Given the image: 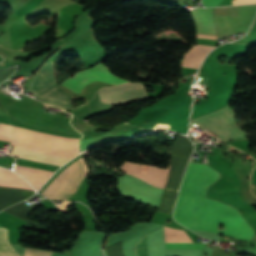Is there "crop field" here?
<instances>
[{"instance_id": "8a807250", "label": "crop field", "mask_w": 256, "mask_h": 256, "mask_svg": "<svg viewBox=\"0 0 256 256\" xmlns=\"http://www.w3.org/2000/svg\"><path fill=\"white\" fill-rule=\"evenodd\" d=\"M218 177L219 174L212 168L190 163L184 176L174 219L191 230L206 231L215 200L204 196L207 187ZM220 224L225 226L224 235L244 240L253 236L252 229L236 209L215 201L207 231L219 234Z\"/></svg>"}, {"instance_id": "ac0d7876", "label": "crop field", "mask_w": 256, "mask_h": 256, "mask_svg": "<svg viewBox=\"0 0 256 256\" xmlns=\"http://www.w3.org/2000/svg\"><path fill=\"white\" fill-rule=\"evenodd\" d=\"M12 139L78 151V139H67L17 127H13ZM11 144L14 145V147L10 154L14 157L46 162L58 166H61L78 155L76 153L53 150L14 141H12Z\"/></svg>"}, {"instance_id": "34b2d1b8", "label": "crop field", "mask_w": 256, "mask_h": 256, "mask_svg": "<svg viewBox=\"0 0 256 256\" xmlns=\"http://www.w3.org/2000/svg\"><path fill=\"white\" fill-rule=\"evenodd\" d=\"M27 90L50 105L62 109L72 107L70 104L72 95L57 86L52 72V64L49 60L35 73Z\"/></svg>"}, {"instance_id": "412701ff", "label": "crop field", "mask_w": 256, "mask_h": 256, "mask_svg": "<svg viewBox=\"0 0 256 256\" xmlns=\"http://www.w3.org/2000/svg\"><path fill=\"white\" fill-rule=\"evenodd\" d=\"M235 116L234 111L227 106L210 114L193 119L192 126L201 127L202 130L218 136L222 141L249 136L250 134L236 126Z\"/></svg>"}, {"instance_id": "f4fd0767", "label": "crop field", "mask_w": 256, "mask_h": 256, "mask_svg": "<svg viewBox=\"0 0 256 256\" xmlns=\"http://www.w3.org/2000/svg\"><path fill=\"white\" fill-rule=\"evenodd\" d=\"M117 180L119 183V193L143 203L158 207L163 190L155 188L127 174L122 177H118Z\"/></svg>"}, {"instance_id": "dd49c442", "label": "crop field", "mask_w": 256, "mask_h": 256, "mask_svg": "<svg viewBox=\"0 0 256 256\" xmlns=\"http://www.w3.org/2000/svg\"><path fill=\"white\" fill-rule=\"evenodd\" d=\"M97 94L101 103L111 105H120L142 98H149L142 83H128L110 88H102Z\"/></svg>"}, {"instance_id": "e52e79f7", "label": "crop field", "mask_w": 256, "mask_h": 256, "mask_svg": "<svg viewBox=\"0 0 256 256\" xmlns=\"http://www.w3.org/2000/svg\"><path fill=\"white\" fill-rule=\"evenodd\" d=\"M92 81H104L115 85L127 82L110 74L107 68L100 63L90 69L73 75L62 84L73 91L80 93L81 89Z\"/></svg>"}, {"instance_id": "d8731c3e", "label": "crop field", "mask_w": 256, "mask_h": 256, "mask_svg": "<svg viewBox=\"0 0 256 256\" xmlns=\"http://www.w3.org/2000/svg\"><path fill=\"white\" fill-rule=\"evenodd\" d=\"M135 251L137 256L149 255V234L140 240ZM150 256H166L163 227L150 234Z\"/></svg>"}, {"instance_id": "5a996713", "label": "crop field", "mask_w": 256, "mask_h": 256, "mask_svg": "<svg viewBox=\"0 0 256 256\" xmlns=\"http://www.w3.org/2000/svg\"><path fill=\"white\" fill-rule=\"evenodd\" d=\"M191 13L196 24V33L216 34L212 19V8H197Z\"/></svg>"}, {"instance_id": "3316defc", "label": "crop field", "mask_w": 256, "mask_h": 256, "mask_svg": "<svg viewBox=\"0 0 256 256\" xmlns=\"http://www.w3.org/2000/svg\"><path fill=\"white\" fill-rule=\"evenodd\" d=\"M15 171L23 175L25 179L37 190L53 173L24 166H15Z\"/></svg>"}, {"instance_id": "28ad6ade", "label": "crop field", "mask_w": 256, "mask_h": 256, "mask_svg": "<svg viewBox=\"0 0 256 256\" xmlns=\"http://www.w3.org/2000/svg\"><path fill=\"white\" fill-rule=\"evenodd\" d=\"M212 49H214V47L206 45L193 46L187 51L182 61V66L198 69L206 54Z\"/></svg>"}, {"instance_id": "d1516ede", "label": "crop field", "mask_w": 256, "mask_h": 256, "mask_svg": "<svg viewBox=\"0 0 256 256\" xmlns=\"http://www.w3.org/2000/svg\"><path fill=\"white\" fill-rule=\"evenodd\" d=\"M250 45L251 44H226L215 49L208 55V57L218 60V58L221 56L230 58L243 56L250 48Z\"/></svg>"}, {"instance_id": "22f410ed", "label": "crop field", "mask_w": 256, "mask_h": 256, "mask_svg": "<svg viewBox=\"0 0 256 256\" xmlns=\"http://www.w3.org/2000/svg\"><path fill=\"white\" fill-rule=\"evenodd\" d=\"M0 186L33 190L22 177L3 168H0Z\"/></svg>"}, {"instance_id": "cbeb9de0", "label": "crop field", "mask_w": 256, "mask_h": 256, "mask_svg": "<svg viewBox=\"0 0 256 256\" xmlns=\"http://www.w3.org/2000/svg\"><path fill=\"white\" fill-rule=\"evenodd\" d=\"M0 250H14L7 239V229L0 228ZM0 256H21L17 251H0Z\"/></svg>"}, {"instance_id": "5142ce71", "label": "crop field", "mask_w": 256, "mask_h": 256, "mask_svg": "<svg viewBox=\"0 0 256 256\" xmlns=\"http://www.w3.org/2000/svg\"><path fill=\"white\" fill-rule=\"evenodd\" d=\"M204 245L197 243H166V249H203Z\"/></svg>"}, {"instance_id": "d9b57169", "label": "crop field", "mask_w": 256, "mask_h": 256, "mask_svg": "<svg viewBox=\"0 0 256 256\" xmlns=\"http://www.w3.org/2000/svg\"><path fill=\"white\" fill-rule=\"evenodd\" d=\"M11 139V128L9 125L0 123V140L10 141Z\"/></svg>"}, {"instance_id": "733c2abd", "label": "crop field", "mask_w": 256, "mask_h": 256, "mask_svg": "<svg viewBox=\"0 0 256 256\" xmlns=\"http://www.w3.org/2000/svg\"><path fill=\"white\" fill-rule=\"evenodd\" d=\"M51 252L25 248L24 256H50Z\"/></svg>"}, {"instance_id": "4a817a6b", "label": "crop field", "mask_w": 256, "mask_h": 256, "mask_svg": "<svg viewBox=\"0 0 256 256\" xmlns=\"http://www.w3.org/2000/svg\"><path fill=\"white\" fill-rule=\"evenodd\" d=\"M203 4L206 6H217L222 0H202ZM205 6V7H206Z\"/></svg>"}, {"instance_id": "bc2a9ffb", "label": "crop field", "mask_w": 256, "mask_h": 256, "mask_svg": "<svg viewBox=\"0 0 256 256\" xmlns=\"http://www.w3.org/2000/svg\"><path fill=\"white\" fill-rule=\"evenodd\" d=\"M72 201H63L61 205H57L59 210L66 211Z\"/></svg>"}, {"instance_id": "214f88e0", "label": "crop field", "mask_w": 256, "mask_h": 256, "mask_svg": "<svg viewBox=\"0 0 256 256\" xmlns=\"http://www.w3.org/2000/svg\"><path fill=\"white\" fill-rule=\"evenodd\" d=\"M256 3V0H233V5Z\"/></svg>"}, {"instance_id": "92a150f3", "label": "crop field", "mask_w": 256, "mask_h": 256, "mask_svg": "<svg viewBox=\"0 0 256 256\" xmlns=\"http://www.w3.org/2000/svg\"><path fill=\"white\" fill-rule=\"evenodd\" d=\"M196 38H212V39H216V36L196 34Z\"/></svg>"}, {"instance_id": "dafd665d", "label": "crop field", "mask_w": 256, "mask_h": 256, "mask_svg": "<svg viewBox=\"0 0 256 256\" xmlns=\"http://www.w3.org/2000/svg\"><path fill=\"white\" fill-rule=\"evenodd\" d=\"M168 171H169V169H168ZM167 176H168V172H167ZM167 176H166V179H167ZM166 179H165V182H164V186H165V183H166ZM164 186H163V188H164Z\"/></svg>"}, {"instance_id": "00972430", "label": "crop field", "mask_w": 256, "mask_h": 256, "mask_svg": "<svg viewBox=\"0 0 256 256\" xmlns=\"http://www.w3.org/2000/svg\"><path fill=\"white\" fill-rule=\"evenodd\" d=\"M256 164V163H255ZM255 167V166H254ZM254 170V169H253ZM253 172V171H252ZM251 177H252V173H251Z\"/></svg>"}]
</instances>
